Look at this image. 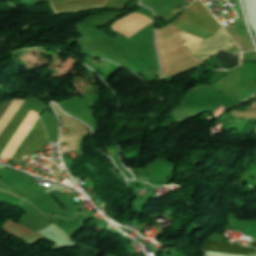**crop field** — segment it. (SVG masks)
<instances>
[{"instance_id": "obj_3", "label": "crop field", "mask_w": 256, "mask_h": 256, "mask_svg": "<svg viewBox=\"0 0 256 256\" xmlns=\"http://www.w3.org/2000/svg\"><path fill=\"white\" fill-rule=\"evenodd\" d=\"M108 0H70L50 3L55 12L106 5Z\"/></svg>"}, {"instance_id": "obj_2", "label": "crop field", "mask_w": 256, "mask_h": 256, "mask_svg": "<svg viewBox=\"0 0 256 256\" xmlns=\"http://www.w3.org/2000/svg\"><path fill=\"white\" fill-rule=\"evenodd\" d=\"M180 18L216 32L221 26L200 1H195L186 9Z\"/></svg>"}, {"instance_id": "obj_4", "label": "crop field", "mask_w": 256, "mask_h": 256, "mask_svg": "<svg viewBox=\"0 0 256 256\" xmlns=\"http://www.w3.org/2000/svg\"><path fill=\"white\" fill-rule=\"evenodd\" d=\"M202 249L236 253V254H244V255H247L248 253L256 254V249L254 248L229 245V243H226V242L211 241V240H207L204 246L202 247Z\"/></svg>"}, {"instance_id": "obj_5", "label": "crop field", "mask_w": 256, "mask_h": 256, "mask_svg": "<svg viewBox=\"0 0 256 256\" xmlns=\"http://www.w3.org/2000/svg\"><path fill=\"white\" fill-rule=\"evenodd\" d=\"M171 25L178 27L184 31H188L190 33L203 37L205 39L214 35V32L204 29L202 27H199L195 24H192L180 18L176 19L173 23H171Z\"/></svg>"}, {"instance_id": "obj_9", "label": "crop field", "mask_w": 256, "mask_h": 256, "mask_svg": "<svg viewBox=\"0 0 256 256\" xmlns=\"http://www.w3.org/2000/svg\"><path fill=\"white\" fill-rule=\"evenodd\" d=\"M139 178H140V179H144V180H148V181L150 180V178H149V177H145V176H141V175H140V177H139Z\"/></svg>"}, {"instance_id": "obj_10", "label": "crop field", "mask_w": 256, "mask_h": 256, "mask_svg": "<svg viewBox=\"0 0 256 256\" xmlns=\"http://www.w3.org/2000/svg\"><path fill=\"white\" fill-rule=\"evenodd\" d=\"M250 246H252V247H256V241L252 240V242H251Z\"/></svg>"}, {"instance_id": "obj_7", "label": "crop field", "mask_w": 256, "mask_h": 256, "mask_svg": "<svg viewBox=\"0 0 256 256\" xmlns=\"http://www.w3.org/2000/svg\"><path fill=\"white\" fill-rule=\"evenodd\" d=\"M213 57H215L231 66H236L239 64V60H238L237 56L231 55L226 52L218 53V54L214 55Z\"/></svg>"}, {"instance_id": "obj_6", "label": "crop field", "mask_w": 256, "mask_h": 256, "mask_svg": "<svg viewBox=\"0 0 256 256\" xmlns=\"http://www.w3.org/2000/svg\"><path fill=\"white\" fill-rule=\"evenodd\" d=\"M26 112H27V109L21 107L20 110L15 115V117L10 122V124L7 126L3 134L0 136V152Z\"/></svg>"}, {"instance_id": "obj_1", "label": "crop field", "mask_w": 256, "mask_h": 256, "mask_svg": "<svg viewBox=\"0 0 256 256\" xmlns=\"http://www.w3.org/2000/svg\"><path fill=\"white\" fill-rule=\"evenodd\" d=\"M48 142L49 139L39 115L25 139L12 157V160L19 162L24 155L33 156Z\"/></svg>"}, {"instance_id": "obj_8", "label": "crop field", "mask_w": 256, "mask_h": 256, "mask_svg": "<svg viewBox=\"0 0 256 256\" xmlns=\"http://www.w3.org/2000/svg\"><path fill=\"white\" fill-rule=\"evenodd\" d=\"M12 101H13V99L5 101L0 104V117L3 115V113L5 112V110L8 108V106L10 105V103Z\"/></svg>"}, {"instance_id": "obj_11", "label": "crop field", "mask_w": 256, "mask_h": 256, "mask_svg": "<svg viewBox=\"0 0 256 256\" xmlns=\"http://www.w3.org/2000/svg\"><path fill=\"white\" fill-rule=\"evenodd\" d=\"M42 1L53 2V1H62V0H42Z\"/></svg>"}]
</instances>
